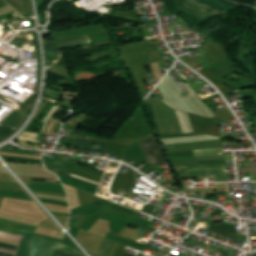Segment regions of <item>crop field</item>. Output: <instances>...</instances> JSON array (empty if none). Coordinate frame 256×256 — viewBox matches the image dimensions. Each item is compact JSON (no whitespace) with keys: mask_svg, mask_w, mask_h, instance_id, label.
Masks as SVG:
<instances>
[{"mask_svg":"<svg viewBox=\"0 0 256 256\" xmlns=\"http://www.w3.org/2000/svg\"><path fill=\"white\" fill-rule=\"evenodd\" d=\"M58 251L65 252V253L71 254L73 256H84V254L82 252L72 249L70 247L64 246L62 244H60Z\"/></svg>","mask_w":256,"mask_h":256,"instance_id":"5a996713","label":"crop field"},{"mask_svg":"<svg viewBox=\"0 0 256 256\" xmlns=\"http://www.w3.org/2000/svg\"><path fill=\"white\" fill-rule=\"evenodd\" d=\"M0 248L10 249V250H14V251L17 250L16 246L7 245V244H3V243H0Z\"/></svg>","mask_w":256,"mask_h":256,"instance_id":"d9b57169","label":"crop field"},{"mask_svg":"<svg viewBox=\"0 0 256 256\" xmlns=\"http://www.w3.org/2000/svg\"><path fill=\"white\" fill-rule=\"evenodd\" d=\"M43 160H44V161H47V162H50V163H53V164H56V165H60V166L66 167V168H70V169H73V170L75 169L74 167H70V166H67V165H63V164L57 163V162L52 161V160H48V159H44V158H43Z\"/></svg>","mask_w":256,"mask_h":256,"instance_id":"4a817a6b","label":"crop field"},{"mask_svg":"<svg viewBox=\"0 0 256 256\" xmlns=\"http://www.w3.org/2000/svg\"><path fill=\"white\" fill-rule=\"evenodd\" d=\"M0 238L19 242L22 237L21 236H16V235H11V234H6V233H1L0 232Z\"/></svg>","mask_w":256,"mask_h":256,"instance_id":"d1516ede","label":"crop field"},{"mask_svg":"<svg viewBox=\"0 0 256 256\" xmlns=\"http://www.w3.org/2000/svg\"><path fill=\"white\" fill-rule=\"evenodd\" d=\"M199 1H202L212 7H215L224 11H228L234 7L241 6L239 4H235L226 0H199Z\"/></svg>","mask_w":256,"mask_h":256,"instance_id":"dd49c442","label":"crop field"},{"mask_svg":"<svg viewBox=\"0 0 256 256\" xmlns=\"http://www.w3.org/2000/svg\"><path fill=\"white\" fill-rule=\"evenodd\" d=\"M47 123H48V122H47ZM47 123H46V126H47ZM46 126H45V128H46ZM45 128H44V131H45ZM44 131H43V133H44ZM43 133H42V134H43Z\"/></svg>","mask_w":256,"mask_h":256,"instance_id":"ae1a2a85","label":"crop field"},{"mask_svg":"<svg viewBox=\"0 0 256 256\" xmlns=\"http://www.w3.org/2000/svg\"><path fill=\"white\" fill-rule=\"evenodd\" d=\"M55 256H59V255L56 254Z\"/></svg>","mask_w":256,"mask_h":256,"instance_id":"750c4746","label":"crop field"},{"mask_svg":"<svg viewBox=\"0 0 256 256\" xmlns=\"http://www.w3.org/2000/svg\"><path fill=\"white\" fill-rule=\"evenodd\" d=\"M71 159H72V160H74V161H77V162L83 163V164H87V165H90V166H93V167L99 168L98 166H95V165H91V164H88V163H85V162H82V161H79V160H76V159H73V158H71Z\"/></svg>","mask_w":256,"mask_h":256,"instance_id":"214f88e0","label":"crop field"},{"mask_svg":"<svg viewBox=\"0 0 256 256\" xmlns=\"http://www.w3.org/2000/svg\"><path fill=\"white\" fill-rule=\"evenodd\" d=\"M82 133H83L82 130H79V129L76 128L73 134L82 135Z\"/></svg>","mask_w":256,"mask_h":256,"instance_id":"92a150f3","label":"crop field"},{"mask_svg":"<svg viewBox=\"0 0 256 256\" xmlns=\"http://www.w3.org/2000/svg\"><path fill=\"white\" fill-rule=\"evenodd\" d=\"M238 173L256 172V164H244V167L237 168Z\"/></svg>","mask_w":256,"mask_h":256,"instance_id":"3316defc","label":"crop field"},{"mask_svg":"<svg viewBox=\"0 0 256 256\" xmlns=\"http://www.w3.org/2000/svg\"><path fill=\"white\" fill-rule=\"evenodd\" d=\"M88 42H90L88 36L57 41L60 47L88 43Z\"/></svg>","mask_w":256,"mask_h":256,"instance_id":"e52e79f7","label":"crop field"},{"mask_svg":"<svg viewBox=\"0 0 256 256\" xmlns=\"http://www.w3.org/2000/svg\"><path fill=\"white\" fill-rule=\"evenodd\" d=\"M61 54L45 51V59L56 63ZM59 60V59H58Z\"/></svg>","mask_w":256,"mask_h":256,"instance_id":"28ad6ade","label":"crop field"},{"mask_svg":"<svg viewBox=\"0 0 256 256\" xmlns=\"http://www.w3.org/2000/svg\"><path fill=\"white\" fill-rule=\"evenodd\" d=\"M58 244L34 234L29 245L30 256H53Z\"/></svg>","mask_w":256,"mask_h":256,"instance_id":"ac0d7876","label":"crop field"},{"mask_svg":"<svg viewBox=\"0 0 256 256\" xmlns=\"http://www.w3.org/2000/svg\"><path fill=\"white\" fill-rule=\"evenodd\" d=\"M56 253L62 254V255H64V256H71V255L64 254V253H61V252H58V251H56Z\"/></svg>","mask_w":256,"mask_h":256,"instance_id":"4177f3b9","label":"crop field"},{"mask_svg":"<svg viewBox=\"0 0 256 256\" xmlns=\"http://www.w3.org/2000/svg\"><path fill=\"white\" fill-rule=\"evenodd\" d=\"M43 43H56V41L43 39Z\"/></svg>","mask_w":256,"mask_h":256,"instance_id":"00972430","label":"crop field"},{"mask_svg":"<svg viewBox=\"0 0 256 256\" xmlns=\"http://www.w3.org/2000/svg\"><path fill=\"white\" fill-rule=\"evenodd\" d=\"M49 123H50V122H49ZM49 123H48V125H49ZM47 128H48V126H47ZM47 128H46V131H47ZM46 131H45V133H46ZM45 133H44V134H45Z\"/></svg>","mask_w":256,"mask_h":256,"instance_id":"d3111659","label":"crop field"},{"mask_svg":"<svg viewBox=\"0 0 256 256\" xmlns=\"http://www.w3.org/2000/svg\"><path fill=\"white\" fill-rule=\"evenodd\" d=\"M1 252L9 253L15 255L16 252L10 251V250H5V249H0Z\"/></svg>","mask_w":256,"mask_h":256,"instance_id":"bc2a9ffb","label":"crop field"},{"mask_svg":"<svg viewBox=\"0 0 256 256\" xmlns=\"http://www.w3.org/2000/svg\"><path fill=\"white\" fill-rule=\"evenodd\" d=\"M19 139H21V140H24V139H26V138H19ZM26 141H31V142H37V143H39L38 141H36V140H31V139H26Z\"/></svg>","mask_w":256,"mask_h":256,"instance_id":"a9b5d70f","label":"crop field"},{"mask_svg":"<svg viewBox=\"0 0 256 256\" xmlns=\"http://www.w3.org/2000/svg\"><path fill=\"white\" fill-rule=\"evenodd\" d=\"M93 142L94 141H87V140L72 138V144L71 145L79 146V147H85V148L100 149V150H107L108 145H109V144H106V143H101V144H104V146L100 147V146L92 145ZM96 143H100V142H96ZM85 148H82L81 150L92 151V152H100V153H105L106 152V151L92 150V149H85Z\"/></svg>","mask_w":256,"mask_h":256,"instance_id":"f4fd0767","label":"crop field"},{"mask_svg":"<svg viewBox=\"0 0 256 256\" xmlns=\"http://www.w3.org/2000/svg\"><path fill=\"white\" fill-rule=\"evenodd\" d=\"M92 256V255H91Z\"/></svg>","mask_w":256,"mask_h":256,"instance_id":"bd1437ed","label":"crop field"},{"mask_svg":"<svg viewBox=\"0 0 256 256\" xmlns=\"http://www.w3.org/2000/svg\"><path fill=\"white\" fill-rule=\"evenodd\" d=\"M148 162L156 164L168 161L156 136L140 143Z\"/></svg>","mask_w":256,"mask_h":256,"instance_id":"34b2d1b8","label":"crop field"},{"mask_svg":"<svg viewBox=\"0 0 256 256\" xmlns=\"http://www.w3.org/2000/svg\"><path fill=\"white\" fill-rule=\"evenodd\" d=\"M51 125H52V122H51V123H50V125H49L48 131H49V129H50V127H51ZM48 131H47V133H48ZM47 133H46V134H47Z\"/></svg>","mask_w":256,"mask_h":256,"instance_id":"eef30255","label":"crop field"},{"mask_svg":"<svg viewBox=\"0 0 256 256\" xmlns=\"http://www.w3.org/2000/svg\"><path fill=\"white\" fill-rule=\"evenodd\" d=\"M194 156L214 155L213 149L193 151Z\"/></svg>","mask_w":256,"mask_h":256,"instance_id":"22f410ed","label":"crop field"},{"mask_svg":"<svg viewBox=\"0 0 256 256\" xmlns=\"http://www.w3.org/2000/svg\"><path fill=\"white\" fill-rule=\"evenodd\" d=\"M36 227L21 224L0 218V231L24 236L27 232L32 233Z\"/></svg>","mask_w":256,"mask_h":256,"instance_id":"412701ff","label":"crop field"},{"mask_svg":"<svg viewBox=\"0 0 256 256\" xmlns=\"http://www.w3.org/2000/svg\"><path fill=\"white\" fill-rule=\"evenodd\" d=\"M46 168H48V169H52V170H55V171H58V172H61V173H65V174H68V175H71V174H69V173H66V172H63V171L57 170V169H55V168H51V167H47V166H46Z\"/></svg>","mask_w":256,"mask_h":256,"instance_id":"dafd665d","label":"crop field"},{"mask_svg":"<svg viewBox=\"0 0 256 256\" xmlns=\"http://www.w3.org/2000/svg\"><path fill=\"white\" fill-rule=\"evenodd\" d=\"M82 217H83V216H71V217H70V220H69V223H70L71 225L76 226L77 223L82 219Z\"/></svg>","mask_w":256,"mask_h":256,"instance_id":"5142ce71","label":"crop field"},{"mask_svg":"<svg viewBox=\"0 0 256 256\" xmlns=\"http://www.w3.org/2000/svg\"><path fill=\"white\" fill-rule=\"evenodd\" d=\"M44 49L62 53L59 46L54 44H44Z\"/></svg>","mask_w":256,"mask_h":256,"instance_id":"cbeb9de0","label":"crop field"},{"mask_svg":"<svg viewBox=\"0 0 256 256\" xmlns=\"http://www.w3.org/2000/svg\"><path fill=\"white\" fill-rule=\"evenodd\" d=\"M31 235L32 234L28 233L21 239L16 256H29L27 246L29 244Z\"/></svg>","mask_w":256,"mask_h":256,"instance_id":"d8731c3e","label":"crop field"},{"mask_svg":"<svg viewBox=\"0 0 256 256\" xmlns=\"http://www.w3.org/2000/svg\"><path fill=\"white\" fill-rule=\"evenodd\" d=\"M181 170L185 171H176L178 177L215 175L216 181H227L224 165L183 166Z\"/></svg>","mask_w":256,"mask_h":256,"instance_id":"8a807250","label":"crop field"},{"mask_svg":"<svg viewBox=\"0 0 256 256\" xmlns=\"http://www.w3.org/2000/svg\"><path fill=\"white\" fill-rule=\"evenodd\" d=\"M0 255H3V256H13V255L4 254V253H0Z\"/></svg>","mask_w":256,"mask_h":256,"instance_id":"730fd06b","label":"crop field"},{"mask_svg":"<svg viewBox=\"0 0 256 256\" xmlns=\"http://www.w3.org/2000/svg\"><path fill=\"white\" fill-rule=\"evenodd\" d=\"M21 136H22V137L31 138V139H35L36 136H37V134H36V133H27V132H25V133H23Z\"/></svg>","mask_w":256,"mask_h":256,"instance_id":"733c2abd","label":"crop field"}]
</instances>
